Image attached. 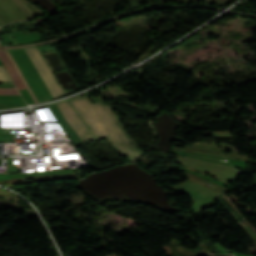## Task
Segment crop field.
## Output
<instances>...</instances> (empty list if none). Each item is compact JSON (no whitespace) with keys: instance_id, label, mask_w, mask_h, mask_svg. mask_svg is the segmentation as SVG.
I'll return each instance as SVG.
<instances>
[{"instance_id":"8a807250","label":"crop field","mask_w":256,"mask_h":256,"mask_svg":"<svg viewBox=\"0 0 256 256\" xmlns=\"http://www.w3.org/2000/svg\"><path fill=\"white\" fill-rule=\"evenodd\" d=\"M70 102L87 123L96 138L105 136L123 156H128V162H134L145 156L133 139L126 133L118 116L104 101L92 104L89 99L80 98ZM57 106L60 108L65 120L84 143L94 140L92 134L68 102L58 103ZM115 122L121 130L116 126Z\"/></svg>"},{"instance_id":"dd49c442","label":"crop field","mask_w":256,"mask_h":256,"mask_svg":"<svg viewBox=\"0 0 256 256\" xmlns=\"http://www.w3.org/2000/svg\"><path fill=\"white\" fill-rule=\"evenodd\" d=\"M0 81H12L3 66H0Z\"/></svg>"},{"instance_id":"ac0d7876","label":"crop field","mask_w":256,"mask_h":256,"mask_svg":"<svg viewBox=\"0 0 256 256\" xmlns=\"http://www.w3.org/2000/svg\"><path fill=\"white\" fill-rule=\"evenodd\" d=\"M26 52L49 88L53 98L66 94V92L60 88L61 86L59 87L57 84L53 73L48 68L44 58L40 55L39 50L37 48H30L26 49Z\"/></svg>"},{"instance_id":"412701ff","label":"crop field","mask_w":256,"mask_h":256,"mask_svg":"<svg viewBox=\"0 0 256 256\" xmlns=\"http://www.w3.org/2000/svg\"><path fill=\"white\" fill-rule=\"evenodd\" d=\"M6 53H7V55L9 56L10 60L12 61V63L15 65V67H16V69H17V71H18V73H19V75H20L22 81L24 82L25 86H26L27 89L29 90V92H30V94H31V96H32V98H33V100L35 101V103H37L38 101L35 99L34 95L32 94L30 88L28 87V85H27V83H26V81H25L23 75L21 74L19 68H18L17 65L15 64V62H14L12 56L10 55L9 51H6Z\"/></svg>"},{"instance_id":"f4fd0767","label":"crop field","mask_w":256,"mask_h":256,"mask_svg":"<svg viewBox=\"0 0 256 256\" xmlns=\"http://www.w3.org/2000/svg\"><path fill=\"white\" fill-rule=\"evenodd\" d=\"M0 95H20L16 88H0Z\"/></svg>"},{"instance_id":"34b2d1b8","label":"crop field","mask_w":256,"mask_h":256,"mask_svg":"<svg viewBox=\"0 0 256 256\" xmlns=\"http://www.w3.org/2000/svg\"><path fill=\"white\" fill-rule=\"evenodd\" d=\"M0 59L3 61L8 73L10 74L14 84L18 87L20 90L22 96L29 95V92L27 91L26 87L22 83L20 77L18 76L13 64L10 62L4 51H0Z\"/></svg>"}]
</instances>
